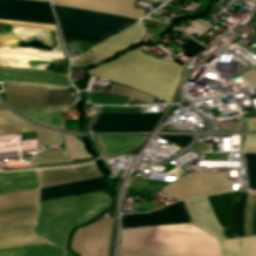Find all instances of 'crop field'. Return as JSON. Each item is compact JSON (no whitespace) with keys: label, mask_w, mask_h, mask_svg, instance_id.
Listing matches in <instances>:
<instances>
[{"label":"crop field","mask_w":256,"mask_h":256,"mask_svg":"<svg viewBox=\"0 0 256 256\" xmlns=\"http://www.w3.org/2000/svg\"><path fill=\"white\" fill-rule=\"evenodd\" d=\"M184 67L146 56L135 48L118 59L100 64L87 73L118 82L171 102Z\"/></svg>","instance_id":"obj_1"},{"label":"crop field","mask_w":256,"mask_h":256,"mask_svg":"<svg viewBox=\"0 0 256 256\" xmlns=\"http://www.w3.org/2000/svg\"><path fill=\"white\" fill-rule=\"evenodd\" d=\"M110 202L108 193H93L40 202L35 232L65 248L70 229L109 207Z\"/></svg>","instance_id":"obj_2"},{"label":"crop field","mask_w":256,"mask_h":256,"mask_svg":"<svg viewBox=\"0 0 256 256\" xmlns=\"http://www.w3.org/2000/svg\"><path fill=\"white\" fill-rule=\"evenodd\" d=\"M121 246L221 256L218 240L192 224L129 228Z\"/></svg>","instance_id":"obj_3"},{"label":"crop field","mask_w":256,"mask_h":256,"mask_svg":"<svg viewBox=\"0 0 256 256\" xmlns=\"http://www.w3.org/2000/svg\"><path fill=\"white\" fill-rule=\"evenodd\" d=\"M64 44L78 41L98 44L138 20L54 6Z\"/></svg>","instance_id":"obj_4"},{"label":"crop field","mask_w":256,"mask_h":256,"mask_svg":"<svg viewBox=\"0 0 256 256\" xmlns=\"http://www.w3.org/2000/svg\"><path fill=\"white\" fill-rule=\"evenodd\" d=\"M40 187H49L88 179L100 178L94 163L79 167L37 170ZM109 189L103 178L41 189L40 201Z\"/></svg>","instance_id":"obj_5"},{"label":"crop field","mask_w":256,"mask_h":256,"mask_svg":"<svg viewBox=\"0 0 256 256\" xmlns=\"http://www.w3.org/2000/svg\"><path fill=\"white\" fill-rule=\"evenodd\" d=\"M6 104L19 114L53 129L60 130L63 110L46 111L45 86L5 84Z\"/></svg>","instance_id":"obj_6"},{"label":"crop field","mask_w":256,"mask_h":256,"mask_svg":"<svg viewBox=\"0 0 256 256\" xmlns=\"http://www.w3.org/2000/svg\"><path fill=\"white\" fill-rule=\"evenodd\" d=\"M34 225L11 228L0 231V252L50 244L49 241L33 233ZM0 256H64V250L51 244L9 252L0 253Z\"/></svg>","instance_id":"obj_7"},{"label":"crop field","mask_w":256,"mask_h":256,"mask_svg":"<svg viewBox=\"0 0 256 256\" xmlns=\"http://www.w3.org/2000/svg\"><path fill=\"white\" fill-rule=\"evenodd\" d=\"M227 172L197 171L164 187L176 200L230 191Z\"/></svg>","instance_id":"obj_8"},{"label":"crop field","mask_w":256,"mask_h":256,"mask_svg":"<svg viewBox=\"0 0 256 256\" xmlns=\"http://www.w3.org/2000/svg\"><path fill=\"white\" fill-rule=\"evenodd\" d=\"M113 219H102L76 230L71 248L81 256H108Z\"/></svg>","instance_id":"obj_9"},{"label":"crop field","mask_w":256,"mask_h":256,"mask_svg":"<svg viewBox=\"0 0 256 256\" xmlns=\"http://www.w3.org/2000/svg\"><path fill=\"white\" fill-rule=\"evenodd\" d=\"M162 114H98L92 122V129L94 132H151Z\"/></svg>","instance_id":"obj_10"},{"label":"crop field","mask_w":256,"mask_h":256,"mask_svg":"<svg viewBox=\"0 0 256 256\" xmlns=\"http://www.w3.org/2000/svg\"><path fill=\"white\" fill-rule=\"evenodd\" d=\"M0 19L56 24L49 3L0 0Z\"/></svg>","instance_id":"obj_11"},{"label":"crop field","mask_w":256,"mask_h":256,"mask_svg":"<svg viewBox=\"0 0 256 256\" xmlns=\"http://www.w3.org/2000/svg\"><path fill=\"white\" fill-rule=\"evenodd\" d=\"M191 223L182 201L145 214L123 215L121 227Z\"/></svg>","instance_id":"obj_12"},{"label":"crop field","mask_w":256,"mask_h":256,"mask_svg":"<svg viewBox=\"0 0 256 256\" xmlns=\"http://www.w3.org/2000/svg\"><path fill=\"white\" fill-rule=\"evenodd\" d=\"M52 3L114 14L143 17L144 10L134 8L136 0H52Z\"/></svg>","instance_id":"obj_13"},{"label":"crop field","mask_w":256,"mask_h":256,"mask_svg":"<svg viewBox=\"0 0 256 256\" xmlns=\"http://www.w3.org/2000/svg\"><path fill=\"white\" fill-rule=\"evenodd\" d=\"M36 131L39 146L60 143V133L34 126L18 117L8 109L0 110V135Z\"/></svg>","instance_id":"obj_14"},{"label":"crop field","mask_w":256,"mask_h":256,"mask_svg":"<svg viewBox=\"0 0 256 256\" xmlns=\"http://www.w3.org/2000/svg\"><path fill=\"white\" fill-rule=\"evenodd\" d=\"M192 224L218 239L224 238L206 197L183 201Z\"/></svg>","instance_id":"obj_15"},{"label":"crop field","mask_w":256,"mask_h":256,"mask_svg":"<svg viewBox=\"0 0 256 256\" xmlns=\"http://www.w3.org/2000/svg\"><path fill=\"white\" fill-rule=\"evenodd\" d=\"M141 23H137L118 35L94 47L90 51L97 54L101 61H104L117 53L123 51L129 46L137 43V40L143 37Z\"/></svg>","instance_id":"obj_16"},{"label":"crop field","mask_w":256,"mask_h":256,"mask_svg":"<svg viewBox=\"0 0 256 256\" xmlns=\"http://www.w3.org/2000/svg\"><path fill=\"white\" fill-rule=\"evenodd\" d=\"M207 198L211 204V207L215 213L225 238L238 237L232 212L233 194L224 193Z\"/></svg>","instance_id":"obj_17"},{"label":"crop field","mask_w":256,"mask_h":256,"mask_svg":"<svg viewBox=\"0 0 256 256\" xmlns=\"http://www.w3.org/2000/svg\"><path fill=\"white\" fill-rule=\"evenodd\" d=\"M0 80L72 86L67 75L7 69H0Z\"/></svg>","instance_id":"obj_18"},{"label":"crop field","mask_w":256,"mask_h":256,"mask_svg":"<svg viewBox=\"0 0 256 256\" xmlns=\"http://www.w3.org/2000/svg\"><path fill=\"white\" fill-rule=\"evenodd\" d=\"M36 189H39V187L35 170L0 173V194Z\"/></svg>","instance_id":"obj_19"},{"label":"crop field","mask_w":256,"mask_h":256,"mask_svg":"<svg viewBox=\"0 0 256 256\" xmlns=\"http://www.w3.org/2000/svg\"><path fill=\"white\" fill-rule=\"evenodd\" d=\"M38 204L0 210V229L10 226L35 224Z\"/></svg>","instance_id":"obj_20"},{"label":"crop field","mask_w":256,"mask_h":256,"mask_svg":"<svg viewBox=\"0 0 256 256\" xmlns=\"http://www.w3.org/2000/svg\"><path fill=\"white\" fill-rule=\"evenodd\" d=\"M147 137L97 136L105 157L129 151L138 147Z\"/></svg>","instance_id":"obj_21"},{"label":"crop field","mask_w":256,"mask_h":256,"mask_svg":"<svg viewBox=\"0 0 256 256\" xmlns=\"http://www.w3.org/2000/svg\"><path fill=\"white\" fill-rule=\"evenodd\" d=\"M243 256H256V236L240 238ZM222 256H242L239 238L219 240Z\"/></svg>","instance_id":"obj_22"},{"label":"crop field","mask_w":256,"mask_h":256,"mask_svg":"<svg viewBox=\"0 0 256 256\" xmlns=\"http://www.w3.org/2000/svg\"><path fill=\"white\" fill-rule=\"evenodd\" d=\"M39 190L0 195V209L38 203Z\"/></svg>","instance_id":"obj_23"},{"label":"crop field","mask_w":256,"mask_h":256,"mask_svg":"<svg viewBox=\"0 0 256 256\" xmlns=\"http://www.w3.org/2000/svg\"><path fill=\"white\" fill-rule=\"evenodd\" d=\"M47 109L69 107L67 88L46 86Z\"/></svg>","instance_id":"obj_24"},{"label":"crop field","mask_w":256,"mask_h":256,"mask_svg":"<svg viewBox=\"0 0 256 256\" xmlns=\"http://www.w3.org/2000/svg\"><path fill=\"white\" fill-rule=\"evenodd\" d=\"M131 100V97L111 93L87 92V102L92 104L128 105Z\"/></svg>","instance_id":"obj_25"},{"label":"crop field","mask_w":256,"mask_h":256,"mask_svg":"<svg viewBox=\"0 0 256 256\" xmlns=\"http://www.w3.org/2000/svg\"><path fill=\"white\" fill-rule=\"evenodd\" d=\"M63 139L65 150L68 153L71 161L92 157L86 152L83 143L75 137L63 136Z\"/></svg>","instance_id":"obj_26"},{"label":"crop field","mask_w":256,"mask_h":256,"mask_svg":"<svg viewBox=\"0 0 256 256\" xmlns=\"http://www.w3.org/2000/svg\"><path fill=\"white\" fill-rule=\"evenodd\" d=\"M33 161L35 165L70 162L65 150H44L38 154H35Z\"/></svg>","instance_id":"obj_27"},{"label":"crop field","mask_w":256,"mask_h":256,"mask_svg":"<svg viewBox=\"0 0 256 256\" xmlns=\"http://www.w3.org/2000/svg\"><path fill=\"white\" fill-rule=\"evenodd\" d=\"M256 209V191L247 193V202L244 210V228L246 236L252 235V223Z\"/></svg>","instance_id":"obj_28"},{"label":"crop field","mask_w":256,"mask_h":256,"mask_svg":"<svg viewBox=\"0 0 256 256\" xmlns=\"http://www.w3.org/2000/svg\"><path fill=\"white\" fill-rule=\"evenodd\" d=\"M167 184L169 183L144 180V179H140L132 176L127 187H131L139 191L154 192Z\"/></svg>","instance_id":"obj_29"},{"label":"crop field","mask_w":256,"mask_h":256,"mask_svg":"<svg viewBox=\"0 0 256 256\" xmlns=\"http://www.w3.org/2000/svg\"><path fill=\"white\" fill-rule=\"evenodd\" d=\"M119 256H203L121 248Z\"/></svg>","instance_id":"obj_30"},{"label":"crop field","mask_w":256,"mask_h":256,"mask_svg":"<svg viewBox=\"0 0 256 256\" xmlns=\"http://www.w3.org/2000/svg\"><path fill=\"white\" fill-rule=\"evenodd\" d=\"M109 92L135 97L137 99L143 100V101L148 102L150 104H152V102L154 100V97L148 96L146 94L137 92V91L132 90V89L120 87V86H117V85H112Z\"/></svg>","instance_id":"obj_31"},{"label":"crop field","mask_w":256,"mask_h":256,"mask_svg":"<svg viewBox=\"0 0 256 256\" xmlns=\"http://www.w3.org/2000/svg\"><path fill=\"white\" fill-rule=\"evenodd\" d=\"M247 175L251 190H256V154L245 153Z\"/></svg>","instance_id":"obj_32"},{"label":"crop field","mask_w":256,"mask_h":256,"mask_svg":"<svg viewBox=\"0 0 256 256\" xmlns=\"http://www.w3.org/2000/svg\"><path fill=\"white\" fill-rule=\"evenodd\" d=\"M246 192H243L242 203H234V216L236 229L240 237L245 236L243 230V209Z\"/></svg>","instance_id":"obj_33"},{"label":"crop field","mask_w":256,"mask_h":256,"mask_svg":"<svg viewBox=\"0 0 256 256\" xmlns=\"http://www.w3.org/2000/svg\"><path fill=\"white\" fill-rule=\"evenodd\" d=\"M98 112L144 113V109H143V106H140V107H105V106H99Z\"/></svg>","instance_id":"obj_34"},{"label":"crop field","mask_w":256,"mask_h":256,"mask_svg":"<svg viewBox=\"0 0 256 256\" xmlns=\"http://www.w3.org/2000/svg\"><path fill=\"white\" fill-rule=\"evenodd\" d=\"M181 48L190 55V57L200 53L199 51H204L206 48L201 46L200 44L193 41L191 38L181 46Z\"/></svg>","instance_id":"obj_35"},{"label":"crop field","mask_w":256,"mask_h":256,"mask_svg":"<svg viewBox=\"0 0 256 256\" xmlns=\"http://www.w3.org/2000/svg\"><path fill=\"white\" fill-rule=\"evenodd\" d=\"M98 57L97 55H93V54H85L83 57L77 59V60H71V64L74 66H79V67H84L86 65H89L93 62L98 61ZM99 62V61H98ZM97 63V62H96ZM94 64V63H93ZM92 65V64H91ZM87 67V66H86ZM85 68V67H84Z\"/></svg>","instance_id":"obj_36"},{"label":"crop field","mask_w":256,"mask_h":256,"mask_svg":"<svg viewBox=\"0 0 256 256\" xmlns=\"http://www.w3.org/2000/svg\"><path fill=\"white\" fill-rule=\"evenodd\" d=\"M243 152L256 153V135H246Z\"/></svg>","instance_id":"obj_37"},{"label":"crop field","mask_w":256,"mask_h":256,"mask_svg":"<svg viewBox=\"0 0 256 256\" xmlns=\"http://www.w3.org/2000/svg\"><path fill=\"white\" fill-rule=\"evenodd\" d=\"M183 148H185V146L191 141V137L190 136H185V137H163Z\"/></svg>","instance_id":"obj_38"},{"label":"crop field","mask_w":256,"mask_h":256,"mask_svg":"<svg viewBox=\"0 0 256 256\" xmlns=\"http://www.w3.org/2000/svg\"><path fill=\"white\" fill-rule=\"evenodd\" d=\"M141 200H142V202H143L144 204H143V203H140V204L134 206L137 211H140V212H147V211H151V210H153V209L156 208V207H154L151 203H149L147 200H145L144 198L141 199Z\"/></svg>","instance_id":"obj_39"},{"label":"crop field","mask_w":256,"mask_h":256,"mask_svg":"<svg viewBox=\"0 0 256 256\" xmlns=\"http://www.w3.org/2000/svg\"><path fill=\"white\" fill-rule=\"evenodd\" d=\"M245 78L250 82L252 86H256V71L250 70L248 72L242 73Z\"/></svg>","instance_id":"obj_40"},{"label":"crop field","mask_w":256,"mask_h":256,"mask_svg":"<svg viewBox=\"0 0 256 256\" xmlns=\"http://www.w3.org/2000/svg\"><path fill=\"white\" fill-rule=\"evenodd\" d=\"M247 131L256 132V118L245 119Z\"/></svg>","instance_id":"obj_41"},{"label":"crop field","mask_w":256,"mask_h":256,"mask_svg":"<svg viewBox=\"0 0 256 256\" xmlns=\"http://www.w3.org/2000/svg\"><path fill=\"white\" fill-rule=\"evenodd\" d=\"M192 149L198 150V151H210L209 150V144H203V143H195Z\"/></svg>","instance_id":"obj_42"},{"label":"crop field","mask_w":256,"mask_h":256,"mask_svg":"<svg viewBox=\"0 0 256 256\" xmlns=\"http://www.w3.org/2000/svg\"><path fill=\"white\" fill-rule=\"evenodd\" d=\"M253 235H256V214H255L254 223H253Z\"/></svg>","instance_id":"obj_43"},{"label":"crop field","mask_w":256,"mask_h":256,"mask_svg":"<svg viewBox=\"0 0 256 256\" xmlns=\"http://www.w3.org/2000/svg\"><path fill=\"white\" fill-rule=\"evenodd\" d=\"M199 6V4L195 3L193 4L189 9L187 10H190V11H193L195 8H197Z\"/></svg>","instance_id":"obj_44"},{"label":"crop field","mask_w":256,"mask_h":256,"mask_svg":"<svg viewBox=\"0 0 256 256\" xmlns=\"http://www.w3.org/2000/svg\"><path fill=\"white\" fill-rule=\"evenodd\" d=\"M143 193H141V192H138V193H135V194H133V195H131L132 197H133V199L134 198H136V197H139L140 195H142Z\"/></svg>","instance_id":"obj_45"},{"label":"crop field","mask_w":256,"mask_h":256,"mask_svg":"<svg viewBox=\"0 0 256 256\" xmlns=\"http://www.w3.org/2000/svg\"><path fill=\"white\" fill-rule=\"evenodd\" d=\"M147 1H151V2L157 3V2H159V1H161V0H147ZM162 1H164V2L166 3V2H168L169 0H162Z\"/></svg>","instance_id":"obj_46"},{"label":"crop field","mask_w":256,"mask_h":256,"mask_svg":"<svg viewBox=\"0 0 256 256\" xmlns=\"http://www.w3.org/2000/svg\"><path fill=\"white\" fill-rule=\"evenodd\" d=\"M5 108L4 105L0 102V109Z\"/></svg>","instance_id":"obj_47"},{"label":"crop field","mask_w":256,"mask_h":256,"mask_svg":"<svg viewBox=\"0 0 256 256\" xmlns=\"http://www.w3.org/2000/svg\"><path fill=\"white\" fill-rule=\"evenodd\" d=\"M66 256H73L70 252L67 251Z\"/></svg>","instance_id":"obj_48"},{"label":"crop field","mask_w":256,"mask_h":256,"mask_svg":"<svg viewBox=\"0 0 256 256\" xmlns=\"http://www.w3.org/2000/svg\"><path fill=\"white\" fill-rule=\"evenodd\" d=\"M42 1H49V0H42Z\"/></svg>","instance_id":"obj_49"},{"label":"crop field","mask_w":256,"mask_h":256,"mask_svg":"<svg viewBox=\"0 0 256 256\" xmlns=\"http://www.w3.org/2000/svg\"><path fill=\"white\" fill-rule=\"evenodd\" d=\"M254 30H256V29H254Z\"/></svg>","instance_id":"obj_50"}]
</instances>
